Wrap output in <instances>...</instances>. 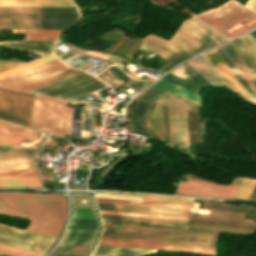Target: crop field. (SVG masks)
Segmentation results:
<instances>
[{
	"label": "crop field",
	"mask_w": 256,
	"mask_h": 256,
	"mask_svg": "<svg viewBox=\"0 0 256 256\" xmlns=\"http://www.w3.org/2000/svg\"><path fill=\"white\" fill-rule=\"evenodd\" d=\"M0 187H41L38 178L0 179Z\"/></svg>",
	"instance_id": "crop-field-31"
},
{
	"label": "crop field",
	"mask_w": 256,
	"mask_h": 256,
	"mask_svg": "<svg viewBox=\"0 0 256 256\" xmlns=\"http://www.w3.org/2000/svg\"><path fill=\"white\" fill-rule=\"evenodd\" d=\"M70 69L58 59L0 80V87L15 89Z\"/></svg>",
	"instance_id": "crop-field-9"
},
{
	"label": "crop field",
	"mask_w": 256,
	"mask_h": 256,
	"mask_svg": "<svg viewBox=\"0 0 256 256\" xmlns=\"http://www.w3.org/2000/svg\"><path fill=\"white\" fill-rule=\"evenodd\" d=\"M221 47L225 51V53L228 55V57L231 59V61L234 63V65L237 67V69L240 71V73L248 82V84L251 86V88L254 90V92L256 93V80L254 79L252 74L249 72V70L246 68V66L243 64V62L240 60V58L232 49V47L229 45V43Z\"/></svg>",
	"instance_id": "crop-field-26"
},
{
	"label": "crop field",
	"mask_w": 256,
	"mask_h": 256,
	"mask_svg": "<svg viewBox=\"0 0 256 256\" xmlns=\"http://www.w3.org/2000/svg\"><path fill=\"white\" fill-rule=\"evenodd\" d=\"M169 144L188 145L186 110L168 107Z\"/></svg>",
	"instance_id": "crop-field-13"
},
{
	"label": "crop field",
	"mask_w": 256,
	"mask_h": 256,
	"mask_svg": "<svg viewBox=\"0 0 256 256\" xmlns=\"http://www.w3.org/2000/svg\"><path fill=\"white\" fill-rule=\"evenodd\" d=\"M212 233L103 224L100 238L209 247Z\"/></svg>",
	"instance_id": "crop-field-2"
},
{
	"label": "crop field",
	"mask_w": 256,
	"mask_h": 256,
	"mask_svg": "<svg viewBox=\"0 0 256 256\" xmlns=\"http://www.w3.org/2000/svg\"><path fill=\"white\" fill-rule=\"evenodd\" d=\"M99 212L100 213H106V214H119V215L144 216V217H157V218H168V219H176V220L188 221V218H183V217L160 216V215H149V214H138V213H127V212H115V211H104V210H99Z\"/></svg>",
	"instance_id": "crop-field-43"
},
{
	"label": "crop field",
	"mask_w": 256,
	"mask_h": 256,
	"mask_svg": "<svg viewBox=\"0 0 256 256\" xmlns=\"http://www.w3.org/2000/svg\"><path fill=\"white\" fill-rule=\"evenodd\" d=\"M65 212L66 201L57 194L0 193L1 214L61 226Z\"/></svg>",
	"instance_id": "crop-field-1"
},
{
	"label": "crop field",
	"mask_w": 256,
	"mask_h": 256,
	"mask_svg": "<svg viewBox=\"0 0 256 256\" xmlns=\"http://www.w3.org/2000/svg\"><path fill=\"white\" fill-rule=\"evenodd\" d=\"M49 256H68V255H49Z\"/></svg>",
	"instance_id": "crop-field-57"
},
{
	"label": "crop field",
	"mask_w": 256,
	"mask_h": 256,
	"mask_svg": "<svg viewBox=\"0 0 256 256\" xmlns=\"http://www.w3.org/2000/svg\"><path fill=\"white\" fill-rule=\"evenodd\" d=\"M0 251H5V250H1V249H0ZM5 252L14 253V254H19V253L10 252V251H5ZM19 255H23V256H29V255H24V254H19Z\"/></svg>",
	"instance_id": "crop-field-55"
},
{
	"label": "crop field",
	"mask_w": 256,
	"mask_h": 256,
	"mask_svg": "<svg viewBox=\"0 0 256 256\" xmlns=\"http://www.w3.org/2000/svg\"><path fill=\"white\" fill-rule=\"evenodd\" d=\"M53 59H56V57H54L52 54H49L41 59H37V60H34V61H31L29 63H26V64H23L21 66H18V67H15V68H12V69H9L7 71H4V72H1L0 73V79L4 78V77H7V76H10L12 74H15V73H18V72H21L23 70H26V69H29V68H32L34 66H37V65H40L42 63H45V62H48V61H51Z\"/></svg>",
	"instance_id": "crop-field-37"
},
{
	"label": "crop field",
	"mask_w": 256,
	"mask_h": 256,
	"mask_svg": "<svg viewBox=\"0 0 256 256\" xmlns=\"http://www.w3.org/2000/svg\"><path fill=\"white\" fill-rule=\"evenodd\" d=\"M0 133L29 139L36 134V131L0 121Z\"/></svg>",
	"instance_id": "crop-field-30"
},
{
	"label": "crop field",
	"mask_w": 256,
	"mask_h": 256,
	"mask_svg": "<svg viewBox=\"0 0 256 256\" xmlns=\"http://www.w3.org/2000/svg\"><path fill=\"white\" fill-rule=\"evenodd\" d=\"M85 128H86V125H85Z\"/></svg>",
	"instance_id": "crop-field-60"
},
{
	"label": "crop field",
	"mask_w": 256,
	"mask_h": 256,
	"mask_svg": "<svg viewBox=\"0 0 256 256\" xmlns=\"http://www.w3.org/2000/svg\"><path fill=\"white\" fill-rule=\"evenodd\" d=\"M170 42L192 56L217 45L186 23H183Z\"/></svg>",
	"instance_id": "crop-field-11"
},
{
	"label": "crop field",
	"mask_w": 256,
	"mask_h": 256,
	"mask_svg": "<svg viewBox=\"0 0 256 256\" xmlns=\"http://www.w3.org/2000/svg\"><path fill=\"white\" fill-rule=\"evenodd\" d=\"M147 103L145 102H140V101H135L132 100L131 102V126H130V131L134 132V133H138V134H142L145 136H150L151 138H154L151 129H150V125H149V114H150V110L153 104H149L146 111L144 112L143 116L142 113L145 109ZM142 116V126L144 127V129L146 130V132L144 131V129L141 127L140 124V118ZM155 139V138H154Z\"/></svg>",
	"instance_id": "crop-field-16"
},
{
	"label": "crop field",
	"mask_w": 256,
	"mask_h": 256,
	"mask_svg": "<svg viewBox=\"0 0 256 256\" xmlns=\"http://www.w3.org/2000/svg\"><path fill=\"white\" fill-rule=\"evenodd\" d=\"M0 256H7V255H2V254H0Z\"/></svg>",
	"instance_id": "crop-field-59"
},
{
	"label": "crop field",
	"mask_w": 256,
	"mask_h": 256,
	"mask_svg": "<svg viewBox=\"0 0 256 256\" xmlns=\"http://www.w3.org/2000/svg\"><path fill=\"white\" fill-rule=\"evenodd\" d=\"M0 45L14 47V48L30 51V52L44 56L49 53H52L55 42L12 41V42H0Z\"/></svg>",
	"instance_id": "crop-field-21"
},
{
	"label": "crop field",
	"mask_w": 256,
	"mask_h": 256,
	"mask_svg": "<svg viewBox=\"0 0 256 256\" xmlns=\"http://www.w3.org/2000/svg\"><path fill=\"white\" fill-rule=\"evenodd\" d=\"M90 247L57 246L51 254L87 255Z\"/></svg>",
	"instance_id": "crop-field-39"
},
{
	"label": "crop field",
	"mask_w": 256,
	"mask_h": 256,
	"mask_svg": "<svg viewBox=\"0 0 256 256\" xmlns=\"http://www.w3.org/2000/svg\"><path fill=\"white\" fill-rule=\"evenodd\" d=\"M0 6L75 7L72 0H0Z\"/></svg>",
	"instance_id": "crop-field-23"
},
{
	"label": "crop field",
	"mask_w": 256,
	"mask_h": 256,
	"mask_svg": "<svg viewBox=\"0 0 256 256\" xmlns=\"http://www.w3.org/2000/svg\"><path fill=\"white\" fill-rule=\"evenodd\" d=\"M100 215H101V217H106V218H116V219H126V220H136V221H146V222H156V223H175V224H187L188 223V222H183V221L138 218V217H127V216H116V215H105V214H100Z\"/></svg>",
	"instance_id": "crop-field-40"
},
{
	"label": "crop field",
	"mask_w": 256,
	"mask_h": 256,
	"mask_svg": "<svg viewBox=\"0 0 256 256\" xmlns=\"http://www.w3.org/2000/svg\"><path fill=\"white\" fill-rule=\"evenodd\" d=\"M155 250L97 245L93 255L101 256H142Z\"/></svg>",
	"instance_id": "crop-field-22"
},
{
	"label": "crop field",
	"mask_w": 256,
	"mask_h": 256,
	"mask_svg": "<svg viewBox=\"0 0 256 256\" xmlns=\"http://www.w3.org/2000/svg\"><path fill=\"white\" fill-rule=\"evenodd\" d=\"M105 86L108 84L104 81L83 72L30 93L68 101Z\"/></svg>",
	"instance_id": "crop-field-6"
},
{
	"label": "crop field",
	"mask_w": 256,
	"mask_h": 256,
	"mask_svg": "<svg viewBox=\"0 0 256 256\" xmlns=\"http://www.w3.org/2000/svg\"><path fill=\"white\" fill-rule=\"evenodd\" d=\"M75 110V108H74ZM74 110H73V116H74ZM76 113H77V108L75 110V116H74V122H73V127H72V121H73V116H72V121H71V126H70V132L69 134L71 133V127H72V133L71 135L73 136L74 134V128H75V122H76ZM79 113H80V109H79ZM79 113H77V122H76V128H75V134L74 136L76 137V134H77V128H78V122H79ZM80 132H81V119H80V122H79V128H78V134H77V137L80 138ZM82 133H83V130L81 132V137H82ZM90 136V132H87L84 130V134H83V137L87 138ZM88 139V138H87Z\"/></svg>",
	"instance_id": "crop-field-45"
},
{
	"label": "crop field",
	"mask_w": 256,
	"mask_h": 256,
	"mask_svg": "<svg viewBox=\"0 0 256 256\" xmlns=\"http://www.w3.org/2000/svg\"><path fill=\"white\" fill-rule=\"evenodd\" d=\"M87 117V116H86ZM89 123H90V120H88V128H87V130L89 129Z\"/></svg>",
	"instance_id": "crop-field-58"
},
{
	"label": "crop field",
	"mask_w": 256,
	"mask_h": 256,
	"mask_svg": "<svg viewBox=\"0 0 256 256\" xmlns=\"http://www.w3.org/2000/svg\"><path fill=\"white\" fill-rule=\"evenodd\" d=\"M256 79V61L239 38L229 42Z\"/></svg>",
	"instance_id": "crop-field-27"
},
{
	"label": "crop field",
	"mask_w": 256,
	"mask_h": 256,
	"mask_svg": "<svg viewBox=\"0 0 256 256\" xmlns=\"http://www.w3.org/2000/svg\"><path fill=\"white\" fill-rule=\"evenodd\" d=\"M0 29H9V7H0Z\"/></svg>",
	"instance_id": "crop-field-48"
},
{
	"label": "crop field",
	"mask_w": 256,
	"mask_h": 256,
	"mask_svg": "<svg viewBox=\"0 0 256 256\" xmlns=\"http://www.w3.org/2000/svg\"><path fill=\"white\" fill-rule=\"evenodd\" d=\"M95 196L134 200V195H128V194H95ZM135 200L184 203V204L191 203V200L186 199V198L154 196V195H140V194H135Z\"/></svg>",
	"instance_id": "crop-field-24"
},
{
	"label": "crop field",
	"mask_w": 256,
	"mask_h": 256,
	"mask_svg": "<svg viewBox=\"0 0 256 256\" xmlns=\"http://www.w3.org/2000/svg\"><path fill=\"white\" fill-rule=\"evenodd\" d=\"M84 116V115H83Z\"/></svg>",
	"instance_id": "crop-field-61"
},
{
	"label": "crop field",
	"mask_w": 256,
	"mask_h": 256,
	"mask_svg": "<svg viewBox=\"0 0 256 256\" xmlns=\"http://www.w3.org/2000/svg\"><path fill=\"white\" fill-rule=\"evenodd\" d=\"M169 42L154 36H148L143 39L139 48L145 51H155L166 60L184 52Z\"/></svg>",
	"instance_id": "crop-field-17"
},
{
	"label": "crop field",
	"mask_w": 256,
	"mask_h": 256,
	"mask_svg": "<svg viewBox=\"0 0 256 256\" xmlns=\"http://www.w3.org/2000/svg\"><path fill=\"white\" fill-rule=\"evenodd\" d=\"M98 244L197 252L214 255V249L100 239Z\"/></svg>",
	"instance_id": "crop-field-15"
},
{
	"label": "crop field",
	"mask_w": 256,
	"mask_h": 256,
	"mask_svg": "<svg viewBox=\"0 0 256 256\" xmlns=\"http://www.w3.org/2000/svg\"><path fill=\"white\" fill-rule=\"evenodd\" d=\"M192 68H194L206 81H208L213 87L225 86L204 56H199L189 62H187Z\"/></svg>",
	"instance_id": "crop-field-20"
},
{
	"label": "crop field",
	"mask_w": 256,
	"mask_h": 256,
	"mask_svg": "<svg viewBox=\"0 0 256 256\" xmlns=\"http://www.w3.org/2000/svg\"><path fill=\"white\" fill-rule=\"evenodd\" d=\"M82 103L89 105V101H87V100H83V99H82ZM98 107H100V106H98Z\"/></svg>",
	"instance_id": "crop-field-56"
},
{
	"label": "crop field",
	"mask_w": 256,
	"mask_h": 256,
	"mask_svg": "<svg viewBox=\"0 0 256 256\" xmlns=\"http://www.w3.org/2000/svg\"><path fill=\"white\" fill-rule=\"evenodd\" d=\"M245 7L256 13V0H248Z\"/></svg>",
	"instance_id": "crop-field-51"
},
{
	"label": "crop field",
	"mask_w": 256,
	"mask_h": 256,
	"mask_svg": "<svg viewBox=\"0 0 256 256\" xmlns=\"http://www.w3.org/2000/svg\"><path fill=\"white\" fill-rule=\"evenodd\" d=\"M238 186H220L210 182L186 179L185 182H180L176 193L204 197L233 198Z\"/></svg>",
	"instance_id": "crop-field-10"
},
{
	"label": "crop field",
	"mask_w": 256,
	"mask_h": 256,
	"mask_svg": "<svg viewBox=\"0 0 256 256\" xmlns=\"http://www.w3.org/2000/svg\"><path fill=\"white\" fill-rule=\"evenodd\" d=\"M19 140L20 138L0 135V146L16 147Z\"/></svg>",
	"instance_id": "crop-field-49"
},
{
	"label": "crop field",
	"mask_w": 256,
	"mask_h": 256,
	"mask_svg": "<svg viewBox=\"0 0 256 256\" xmlns=\"http://www.w3.org/2000/svg\"><path fill=\"white\" fill-rule=\"evenodd\" d=\"M216 51L219 53V55L222 57V59L225 61V63L228 65L231 71L234 73L236 78L239 80V82L242 84V86L245 88V90L248 92V94L251 96L254 102H256V94L253 92V90L241 76L239 71L236 69V67L233 65V63L230 61V59L227 57V55L224 53L221 47L216 48Z\"/></svg>",
	"instance_id": "crop-field-36"
},
{
	"label": "crop field",
	"mask_w": 256,
	"mask_h": 256,
	"mask_svg": "<svg viewBox=\"0 0 256 256\" xmlns=\"http://www.w3.org/2000/svg\"><path fill=\"white\" fill-rule=\"evenodd\" d=\"M60 228L59 226L30 221L26 229L57 236Z\"/></svg>",
	"instance_id": "crop-field-38"
},
{
	"label": "crop field",
	"mask_w": 256,
	"mask_h": 256,
	"mask_svg": "<svg viewBox=\"0 0 256 256\" xmlns=\"http://www.w3.org/2000/svg\"><path fill=\"white\" fill-rule=\"evenodd\" d=\"M135 40H136V37H134V39L131 41V43L120 54L123 55L127 51V49L130 47V45L135 42Z\"/></svg>",
	"instance_id": "crop-field-53"
},
{
	"label": "crop field",
	"mask_w": 256,
	"mask_h": 256,
	"mask_svg": "<svg viewBox=\"0 0 256 256\" xmlns=\"http://www.w3.org/2000/svg\"><path fill=\"white\" fill-rule=\"evenodd\" d=\"M135 100H141L146 102H152L177 108H183L187 110L197 111L200 110V103L186 99L165 91H161L152 87H149L137 97L133 98Z\"/></svg>",
	"instance_id": "crop-field-12"
},
{
	"label": "crop field",
	"mask_w": 256,
	"mask_h": 256,
	"mask_svg": "<svg viewBox=\"0 0 256 256\" xmlns=\"http://www.w3.org/2000/svg\"><path fill=\"white\" fill-rule=\"evenodd\" d=\"M65 104V101L35 96L29 126L61 136L68 134L73 107Z\"/></svg>",
	"instance_id": "crop-field-5"
},
{
	"label": "crop field",
	"mask_w": 256,
	"mask_h": 256,
	"mask_svg": "<svg viewBox=\"0 0 256 256\" xmlns=\"http://www.w3.org/2000/svg\"><path fill=\"white\" fill-rule=\"evenodd\" d=\"M37 150L0 147V159L33 160Z\"/></svg>",
	"instance_id": "crop-field-28"
},
{
	"label": "crop field",
	"mask_w": 256,
	"mask_h": 256,
	"mask_svg": "<svg viewBox=\"0 0 256 256\" xmlns=\"http://www.w3.org/2000/svg\"><path fill=\"white\" fill-rule=\"evenodd\" d=\"M191 19H193L194 21H196L197 23H199V24H201L202 26H204L205 28H207L208 30H210L211 32H213L214 34H216V35H218L219 37H221L222 39H224V40H227L226 38H224L223 36H221V35H219L218 33H216L215 31H213L212 29H210V28H208L207 26H205L204 24H202L201 22H199V21H197L196 19H194V18H191ZM191 19H189L192 23H194L195 25H197L199 28H201L202 30H204L206 33H208L210 36H212L213 38H215L217 41H219V42H221L220 40H222L221 38H219L218 36H216V37H218V38H216L215 36H213L211 33H209L208 31H206L204 28H202L200 25H198L197 23H195L193 20H191ZM185 22H187L188 24H190L191 26H193L194 28H196L197 30H199L201 33H203L204 35H206L207 37H209L210 39H212L213 41H215V42H217L216 40H214L212 37H210L209 35H207L206 33H204L202 30H200L199 28H197L196 26H194L192 23H190L189 21H185ZM224 40H222V41H224Z\"/></svg>",
	"instance_id": "crop-field-46"
},
{
	"label": "crop field",
	"mask_w": 256,
	"mask_h": 256,
	"mask_svg": "<svg viewBox=\"0 0 256 256\" xmlns=\"http://www.w3.org/2000/svg\"><path fill=\"white\" fill-rule=\"evenodd\" d=\"M99 209L188 217L189 211L96 203Z\"/></svg>",
	"instance_id": "crop-field-18"
},
{
	"label": "crop field",
	"mask_w": 256,
	"mask_h": 256,
	"mask_svg": "<svg viewBox=\"0 0 256 256\" xmlns=\"http://www.w3.org/2000/svg\"><path fill=\"white\" fill-rule=\"evenodd\" d=\"M71 218L96 219L93 209L72 208Z\"/></svg>",
	"instance_id": "crop-field-42"
},
{
	"label": "crop field",
	"mask_w": 256,
	"mask_h": 256,
	"mask_svg": "<svg viewBox=\"0 0 256 256\" xmlns=\"http://www.w3.org/2000/svg\"><path fill=\"white\" fill-rule=\"evenodd\" d=\"M80 72H82V71L70 69V70H67L65 72L56 74L54 76L45 78L43 80L31 83V84L23 86V87H20V88H18L16 90H21V91L29 92V91H32L34 89L40 88L42 86H45V85L51 84L53 82L59 81L61 79H64V78L70 77L72 75L78 74Z\"/></svg>",
	"instance_id": "crop-field-29"
},
{
	"label": "crop field",
	"mask_w": 256,
	"mask_h": 256,
	"mask_svg": "<svg viewBox=\"0 0 256 256\" xmlns=\"http://www.w3.org/2000/svg\"><path fill=\"white\" fill-rule=\"evenodd\" d=\"M77 19L76 8L10 7V28L67 29Z\"/></svg>",
	"instance_id": "crop-field-3"
},
{
	"label": "crop field",
	"mask_w": 256,
	"mask_h": 256,
	"mask_svg": "<svg viewBox=\"0 0 256 256\" xmlns=\"http://www.w3.org/2000/svg\"><path fill=\"white\" fill-rule=\"evenodd\" d=\"M82 98V97H81Z\"/></svg>",
	"instance_id": "crop-field-62"
},
{
	"label": "crop field",
	"mask_w": 256,
	"mask_h": 256,
	"mask_svg": "<svg viewBox=\"0 0 256 256\" xmlns=\"http://www.w3.org/2000/svg\"><path fill=\"white\" fill-rule=\"evenodd\" d=\"M55 236L22 230L0 224V243L45 253Z\"/></svg>",
	"instance_id": "crop-field-8"
},
{
	"label": "crop field",
	"mask_w": 256,
	"mask_h": 256,
	"mask_svg": "<svg viewBox=\"0 0 256 256\" xmlns=\"http://www.w3.org/2000/svg\"><path fill=\"white\" fill-rule=\"evenodd\" d=\"M38 177L36 171L0 172V178Z\"/></svg>",
	"instance_id": "crop-field-44"
},
{
	"label": "crop field",
	"mask_w": 256,
	"mask_h": 256,
	"mask_svg": "<svg viewBox=\"0 0 256 256\" xmlns=\"http://www.w3.org/2000/svg\"><path fill=\"white\" fill-rule=\"evenodd\" d=\"M151 125L156 137L164 142L162 106H154L151 114Z\"/></svg>",
	"instance_id": "crop-field-34"
},
{
	"label": "crop field",
	"mask_w": 256,
	"mask_h": 256,
	"mask_svg": "<svg viewBox=\"0 0 256 256\" xmlns=\"http://www.w3.org/2000/svg\"><path fill=\"white\" fill-rule=\"evenodd\" d=\"M81 55L80 54H77V53H75V54H73V55H71L70 57H68L67 59H65V60H63V61H65L66 63L67 62H69V61H73V60H75L76 58H78V57H80ZM84 56V55H83ZM82 57V56H81ZM80 57V58H81ZM79 59V58H78ZM77 60V59H76ZM75 60V61H76ZM74 62V61H73Z\"/></svg>",
	"instance_id": "crop-field-52"
},
{
	"label": "crop field",
	"mask_w": 256,
	"mask_h": 256,
	"mask_svg": "<svg viewBox=\"0 0 256 256\" xmlns=\"http://www.w3.org/2000/svg\"><path fill=\"white\" fill-rule=\"evenodd\" d=\"M97 230L67 229L59 245L92 246Z\"/></svg>",
	"instance_id": "crop-field-19"
},
{
	"label": "crop field",
	"mask_w": 256,
	"mask_h": 256,
	"mask_svg": "<svg viewBox=\"0 0 256 256\" xmlns=\"http://www.w3.org/2000/svg\"><path fill=\"white\" fill-rule=\"evenodd\" d=\"M239 38L250 51V53L253 55V57L256 59V42L253 40L250 34L247 33Z\"/></svg>",
	"instance_id": "crop-field-47"
},
{
	"label": "crop field",
	"mask_w": 256,
	"mask_h": 256,
	"mask_svg": "<svg viewBox=\"0 0 256 256\" xmlns=\"http://www.w3.org/2000/svg\"><path fill=\"white\" fill-rule=\"evenodd\" d=\"M21 64H23V63H19V62H3V61H0V72H1V71H4V70H7V69H9V68H12V67L21 65Z\"/></svg>",
	"instance_id": "crop-field-50"
},
{
	"label": "crop field",
	"mask_w": 256,
	"mask_h": 256,
	"mask_svg": "<svg viewBox=\"0 0 256 256\" xmlns=\"http://www.w3.org/2000/svg\"><path fill=\"white\" fill-rule=\"evenodd\" d=\"M195 17L228 39L256 26V15L235 0Z\"/></svg>",
	"instance_id": "crop-field-4"
},
{
	"label": "crop field",
	"mask_w": 256,
	"mask_h": 256,
	"mask_svg": "<svg viewBox=\"0 0 256 256\" xmlns=\"http://www.w3.org/2000/svg\"><path fill=\"white\" fill-rule=\"evenodd\" d=\"M13 33H27L24 40H56L61 31L12 30Z\"/></svg>",
	"instance_id": "crop-field-33"
},
{
	"label": "crop field",
	"mask_w": 256,
	"mask_h": 256,
	"mask_svg": "<svg viewBox=\"0 0 256 256\" xmlns=\"http://www.w3.org/2000/svg\"><path fill=\"white\" fill-rule=\"evenodd\" d=\"M48 143H52V144H56L57 145V142H55L53 139L51 138H48L47 140Z\"/></svg>",
	"instance_id": "crop-field-54"
},
{
	"label": "crop field",
	"mask_w": 256,
	"mask_h": 256,
	"mask_svg": "<svg viewBox=\"0 0 256 256\" xmlns=\"http://www.w3.org/2000/svg\"><path fill=\"white\" fill-rule=\"evenodd\" d=\"M67 228L97 229V220L70 219Z\"/></svg>",
	"instance_id": "crop-field-41"
},
{
	"label": "crop field",
	"mask_w": 256,
	"mask_h": 256,
	"mask_svg": "<svg viewBox=\"0 0 256 256\" xmlns=\"http://www.w3.org/2000/svg\"><path fill=\"white\" fill-rule=\"evenodd\" d=\"M205 55L209 59V61L212 63V65L215 67V69L218 71V73L221 75V77L224 79V81L227 83L228 86H230L232 89H234L236 92H238L247 100L253 101L250 98V96L247 94V92L244 90V88L241 86V84L238 82V80L235 78V76L230 71V69L227 67V65L224 63V61L221 59V57L218 55V53L215 51V49L205 53Z\"/></svg>",
	"instance_id": "crop-field-14"
},
{
	"label": "crop field",
	"mask_w": 256,
	"mask_h": 256,
	"mask_svg": "<svg viewBox=\"0 0 256 256\" xmlns=\"http://www.w3.org/2000/svg\"><path fill=\"white\" fill-rule=\"evenodd\" d=\"M34 96L0 88V118L29 124Z\"/></svg>",
	"instance_id": "crop-field-7"
},
{
	"label": "crop field",
	"mask_w": 256,
	"mask_h": 256,
	"mask_svg": "<svg viewBox=\"0 0 256 256\" xmlns=\"http://www.w3.org/2000/svg\"><path fill=\"white\" fill-rule=\"evenodd\" d=\"M36 170L33 161L0 160V171Z\"/></svg>",
	"instance_id": "crop-field-32"
},
{
	"label": "crop field",
	"mask_w": 256,
	"mask_h": 256,
	"mask_svg": "<svg viewBox=\"0 0 256 256\" xmlns=\"http://www.w3.org/2000/svg\"><path fill=\"white\" fill-rule=\"evenodd\" d=\"M95 199H96V202H101V203H113V204H125V205H137V206H149V207H161V208L190 210V205H184V204L142 202V201L101 199V198H95Z\"/></svg>",
	"instance_id": "crop-field-25"
},
{
	"label": "crop field",
	"mask_w": 256,
	"mask_h": 256,
	"mask_svg": "<svg viewBox=\"0 0 256 256\" xmlns=\"http://www.w3.org/2000/svg\"><path fill=\"white\" fill-rule=\"evenodd\" d=\"M151 86L200 102L199 97H197V96H195V95H193V94H191V93H189L187 91H184V90L178 88L177 86H175V85H173V84H171L169 82H166V81H164L162 79L158 80L157 82H155Z\"/></svg>",
	"instance_id": "crop-field-35"
}]
</instances>
